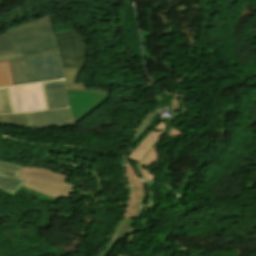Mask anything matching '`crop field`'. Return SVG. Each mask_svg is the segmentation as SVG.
<instances>
[{
  "label": "crop field",
  "instance_id": "1",
  "mask_svg": "<svg viewBox=\"0 0 256 256\" xmlns=\"http://www.w3.org/2000/svg\"><path fill=\"white\" fill-rule=\"evenodd\" d=\"M126 174L128 180L129 198L127 205L121 215V218L115 228L113 237L108 248L100 256H108L114 245L128 236L133 226L139 219L147 204L152 201L151 191L154 184L148 183L140 179L135 169L129 164L125 163ZM134 190V191H132ZM121 227V229H119ZM135 227V226H134ZM115 237L120 238L117 242L113 240Z\"/></svg>",
  "mask_w": 256,
  "mask_h": 256
},
{
  "label": "crop field",
  "instance_id": "2",
  "mask_svg": "<svg viewBox=\"0 0 256 256\" xmlns=\"http://www.w3.org/2000/svg\"><path fill=\"white\" fill-rule=\"evenodd\" d=\"M5 31L19 57L58 50L50 15Z\"/></svg>",
  "mask_w": 256,
  "mask_h": 256
},
{
  "label": "crop field",
  "instance_id": "3",
  "mask_svg": "<svg viewBox=\"0 0 256 256\" xmlns=\"http://www.w3.org/2000/svg\"><path fill=\"white\" fill-rule=\"evenodd\" d=\"M8 62L14 86L63 79L57 51Z\"/></svg>",
  "mask_w": 256,
  "mask_h": 256
},
{
  "label": "crop field",
  "instance_id": "4",
  "mask_svg": "<svg viewBox=\"0 0 256 256\" xmlns=\"http://www.w3.org/2000/svg\"><path fill=\"white\" fill-rule=\"evenodd\" d=\"M67 179L61 174L35 167H23L19 177V180L25 181L23 187L56 199H70L74 194L75 186L65 182Z\"/></svg>",
  "mask_w": 256,
  "mask_h": 256
},
{
  "label": "crop field",
  "instance_id": "5",
  "mask_svg": "<svg viewBox=\"0 0 256 256\" xmlns=\"http://www.w3.org/2000/svg\"><path fill=\"white\" fill-rule=\"evenodd\" d=\"M165 130V123H159L128 156V159H132L139 163L136 166L145 179L156 180L157 176H151L148 168L159 161V156L157 154V145L159 142L167 138L181 135L180 131L172 128L168 136L164 137Z\"/></svg>",
  "mask_w": 256,
  "mask_h": 256
},
{
  "label": "crop field",
  "instance_id": "6",
  "mask_svg": "<svg viewBox=\"0 0 256 256\" xmlns=\"http://www.w3.org/2000/svg\"><path fill=\"white\" fill-rule=\"evenodd\" d=\"M62 68L82 67L85 61L86 45L74 30L55 33Z\"/></svg>",
  "mask_w": 256,
  "mask_h": 256
},
{
  "label": "crop field",
  "instance_id": "7",
  "mask_svg": "<svg viewBox=\"0 0 256 256\" xmlns=\"http://www.w3.org/2000/svg\"><path fill=\"white\" fill-rule=\"evenodd\" d=\"M13 113L47 109L42 83L10 88Z\"/></svg>",
  "mask_w": 256,
  "mask_h": 256
},
{
  "label": "crop field",
  "instance_id": "8",
  "mask_svg": "<svg viewBox=\"0 0 256 256\" xmlns=\"http://www.w3.org/2000/svg\"><path fill=\"white\" fill-rule=\"evenodd\" d=\"M75 124L103 104L109 92L66 89Z\"/></svg>",
  "mask_w": 256,
  "mask_h": 256
},
{
  "label": "crop field",
  "instance_id": "9",
  "mask_svg": "<svg viewBox=\"0 0 256 256\" xmlns=\"http://www.w3.org/2000/svg\"><path fill=\"white\" fill-rule=\"evenodd\" d=\"M32 129L54 125H73L71 110H50L30 113Z\"/></svg>",
  "mask_w": 256,
  "mask_h": 256
},
{
  "label": "crop field",
  "instance_id": "10",
  "mask_svg": "<svg viewBox=\"0 0 256 256\" xmlns=\"http://www.w3.org/2000/svg\"><path fill=\"white\" fill-rule=\"evenodd\" d=\"M48 109L68 107L63 80L43 83Z\"/></svg>",
  "mask_w": 256,
  "mask_h": 256
},
{
  "label": "crop field",
  "instance_id": "11",
  "mask_svg": "<svg viewBox=\"0 0 256 256\" xmlns=\"http://www.w3.org/2000/svg\"><path fill=\"white\" fill-rule=\"evenodd\" d=\"M0 124L32 128L29 113L0 115Z\"/></svg>",
  "mask_w": 256,
  "mask_h": 256
},
{
  "label": "crop field",
  "instance_id": "12",
  "mask_svg": "<svg viewBox=\"0 0 256 256\" xmlns=\"http://www.w3.org/2000/svg\"><path fill=\"white\" fill-rule=\"evenodd\" d=\"M18 57L6 33L0 34V60Z\"/></svg>",
  "mask_w": 256,
  "mask_h": 256
},
{
  "label": "crop field",
  "instance_id": "13",
  "mask_svg": "<svg viewBox=\"0 0 256 256\" xmlns=\"http://www.w3.org/2000/svg\"><path fill=\"white\" fill-rule=\"evenodd\" d=\"M158 109H151L152 112L148 113L146 117L143 119L136 135L132 138L131 141V147H133L136 142L143 136V134L148 130V128L151 126L153 121L156 119L158 112Z\"/></svg>",
  "mask_w": 256,
  "mask_h": 256
},
{
  "label": "crop field",
  "instance_id": "14",
  "mask_svg": "<svg viewBox=\"0 0 256 256\" xmlns=\"http://www.w3.org/2000/svg\"><path fill=\"white\" fill-rule=\"evenodd\" d=\"M23 181L0 176V189L14 195L21 187Z\"/></svg>",
  "mask_w": 256,
  "mask_h": 256
},
{
  "label": "crop field",
  "instance_id": "15",
  "mask_svg": "<svg viewBox=\"0 0 256 256\" xmlns=\"http://www.w3.org/2000/svg\"><path fill=\"white\" fill-rule=\"evenodd\" d=\"M81 68L63 69L66 88L84 89V84H75V78Z\"/></svg>",
  "mask_w": 256,
  "mask_h": 256
},
{
  "label": "crop field",
  "instance_id": "16",
  "mask_svg": "<svg viewBox=\"0 0 256 256\" xmlns=\"http://www.w3.org/2000/svg\"><path fill=\"white\" fill-rule=\"evenodd\" d=\"M20 169H21V165L19 164L0 160V174L2 175L18 178Z\"/></svg>",
  "mask_w": 256,
  "mask_h": 256
},
{
  "label": "crop field",
  "instance_id": "17",
  "mask_svg": "<svg viewBox=\"0 0 256 256\" xmlns=\"http://www.w3.org/2000/svg\"><path fill=\"white\" fill-rule=\"evenodd\" d=\"M7 86H13V84L11 80L8 62L6 60L0 61V88Z\"/></svg>",
  "mask_w": 256,
  "mask_h": 256
},
{
  "label": "crop field",
  "instance_id": "18",
  "mask_svg": "<svg viewBox=\"0 0 256 256\" xmlns=\"http://www.w3.org/2000/svg\"><path fill=\"white\" fill-rule=\"evenodd\" d=\"M12 113L9 88L0 89V114Z\"/></svg>",
  "mask_w": 256,
  "mask_h": 256
},
{
  "label": "crop field",
  "instance_id": "19",
  "mask_svg": "<svg viewBox=\"0 0 256 256\" xmlns=\"http://www.w3.org/2000/svg\"><path fill=\"white\" fill-rule=\"evenodd\" d=\"M167 95L170 96V98L168 99L169 103H171L170 108L174 111H178L179 110V103L178 102H180V101L178 100L177 93H167ZM184 97H185V95L180 94V98H181V101H182V113H186V111H187V109L184 106ZM184 109H186V111H184Z\"/></svg>",
  "mask_w": 256,
  "mask_h": 256
}]
</instances>
